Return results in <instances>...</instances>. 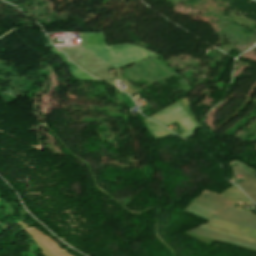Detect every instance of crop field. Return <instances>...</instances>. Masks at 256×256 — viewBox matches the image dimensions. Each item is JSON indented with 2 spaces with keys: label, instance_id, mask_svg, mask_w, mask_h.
Masks as SVG:
<instances>
[{
  "label": "crop field",
  "instance_id": "obj_8",
  "mask_svg": "<svg viewBox=\"0 0 256 256\" xmlns=\"http://www.w3.org/2000/svg\"><path fill=\"white\" fill-rule=\"evenodd\" d=\"M143 122H144L149 134H151L155 139H160L162 137L172 134L168 130L160 127L159 125H157L149 120H143Z\"/></svg>",
  "mask_w": 256,
  "mask_h": 256
},
{
  "label": "crop field",
  "instance_id": "obj_3",
  "mask_svg": "<svg viewBox=\"0 0 256 256\" xmlns=\"http://www.w3.org/2000/svg\"><path fill=\"white\" fill-rule=\"evenodd\" d=\"M149 118L164 126L177 121L185 131L180 135L183 138L200 126L190 111L188 99L169 105Z\"/></svg>",
  "mask_w": 256,
  "mask_h": 256
},
{
  "label": "crop field",
  "instance_id": "obj_4",
  "mask_svg": "<svg viewBox=\"0 0 256 256\" xmlns=\"http://www.w3.org/2000/svg\"><path fill=\"white\" fill-rule=\"evenodd\" d=\"M200 227L208 228L218 232L226 233L229 235L237 236L240 238L248 239L256 242V231L220 220H212L208 223L201 225Z\"/></svg>",
  "mask_w": 256,
  "mask_h": 256
},
{
  "label": "crop field",
  "instance_id": "obj_7",
  "mask_svg": "<svg viewBox=\"0 0 256 256\" xmlns=\"http://www.w3.org/2000/svg\"><path fill=\"white\" fill-rule=\"evenodd\" d=\"M52 52L58 54L63 62L68 65L69 73L74 76L77 80H97L83 71H81L78 67H76L73 63H71L66 56H64L61 52H59L54 46Z\"/></svg>",
  "mask_w": 256,
  "mask_h": 256
},
{
  "label": "crop field",
  "instance_id": "obj_5",
  "mask_svg": "<svg viewBox=\"0 0 256 256\" xmlns=\"http://www.w3.org/2000/svg\"><path fill=\"white\" fill-rule=\"evenodd\" d=\"M190 231H192V232H194V233H196V234H198L202 237H206V238H210V239H214V240H218V241H222V242H227V243H231V244H235V245H240V246L256 249V243L255 242H251V241H248V240H244V239L229 236V235H226V234L218 233V232L211 231V230H208V229L197 227V228L192 229Z\"/></svg>",
  "mask_w": 256,
  "mask_h": 256
},
{
  "label": "crop field",
  "instance_id": "obj_9",
  "mask_svg": "<svg viewBox=\"0 0 256 256\" xmlns=\"http://www.w3.org/2000/svg\"><path fill=\"white\" fill-rule=\"evenodd\" d=\"M222 195H224L236 202L241 200L243 202H246V203L252 205V203L249 201V199L234 185L230 189H228L226 192H224Z\"/></svg>",
  "mask_w": 256,
  "mask_h": 256
},
{
  "label": "crop field",
  "instance_id": "obj_2",
  "mask_svg": "<svg viewBox=\"0 0 256 256\" xmlns=\"http://www.w3.org/2000/svg\"><path fill=\"white\" fill-rule=\"evenodd\" d=\"M203 196L208 198V199H211L215 202H218L220 204L226 205L230 208L233 205L236 204V202H234L230 199H227V198H225L221 195H218L216 193H213L209 190H207ZM196 201L204 203V204L208 205L209 207H207L205 205H202V204H200ZM196 201L193 202L191 207H195V208H198V209H200L204 212L212 214V215L218 217L220 220L227 221V222H230V223H234V224H237V225H241V226L248 227V228L256 230V216L253 215L252 213L241 211V210H238V209H235V208L227 209V208H224V207H222L218 204H214L212 202H209V201H207V200H205L201 197L199 199H197ZM191 207L188 208L187 212L192 213L196 216L208 219V220H211V219L215 218V217H212L208 214L197 211V210H195Z\"/></svg>",
  "mask_w": 256,
  "mask_h": 256
},
{
  "label": "crop field",
  "instance_id": "obj_1",
  "mask_svg": "<svg viewBox=\"0 0 256 256\" xmlns=\"http://www.w3.org/2000/svg\"><path fill=\"white\" fill-rule=\"evenodd\" d=\"M80 39L81 46L115 68L153 54L132 44H118L107 47L102 33H80ZM81 46L59 49L90 75L109 82L107 71L114 68Z\"/></svg>",
  "mask_w": 256,
  "mask_h": 256
},
{
  "label": "crop field",
  "instance_id": "obj_6",
  "mask_svg": "<svg viewBox=\"0 0 256 256\" xmlns=\"http://www.w3.org/2000/svg\"><path fill=\"white\" fill-rule=\"evenodd\" d=\"M232 169L245 175V178L239 185L241 189L256 203V177L235 166Z\"/></svg>",
  "mask_w": 256,
  "mask_h": 256
}]
</instances>
